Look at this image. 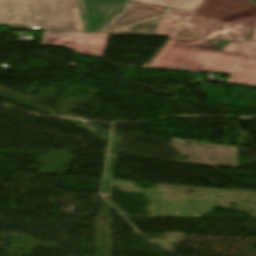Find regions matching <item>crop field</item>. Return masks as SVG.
Masks as SVG:
<instances>
[{"label": "crop field", "mask_w": 256, "mask_h": 256, "mask_svg": "<svg viewBox=\"0 0 256 256\" xmlns=\"http://www.w3.org/2000/svg\"><path fill=\"white\" fill-rule=\"evenodd\" d=\"M109 35L44 32L41 44L62 45L80 53L102 56Z\"/></svg>", "instance_id": "obj_4"}, {"label": "crop field", "mask_w": 256, "mask_h": 256, "mask_svg": "<svg viewBox=\"0 0 256 256\" xmlns=\"http://www.w3.org/2000/svg\"><path fill=\"white\" fill-rule=\"evenodd\" d=\"M127 0H0V24L91 32Z\"/></svg>", "instance_id": "obj_3"}, {"label": "crop field", "mask_w": 256, "mask_h": 256, "mask_svg": "<svg viewBox=\"0 0 256 256\" xmlns=\"http://www.w3.org/2000/svg\"><path fill=\"white\" fill-rule=\"evenodd\" d=\"M252 1H254L256 3V0H252Z\"/></svg>", "instance_id": "obj_8"}, {"label": "crop field", "mask_w": 256, "mask_h": 256, "mask_svg": "<svg viewBox=\"0 0 256 256\" xmlns=\"http://www.w3.org/2000/svg\"><path fill=\"white\" fill-rule=\"evenodd\" d=\"M255 22L247 0H204L192 12L128 1L92 32L250 40Z\"/></svg>", "instance_id": "obj_1"}, {"label": "crop field", "mask_w": 256, "mask_h": 256, "mask_svg": "<svg viewBox=\"0 0 256 256\" xmlns=\"http://www.w3.org/2000/svg\"><path fill=\"white\" fill-rule=\"evenodd\" d=\"M202 1L203 0H172L170 4L174 5L176 8L192 11Z\"/></svg>", "instance_id": "obj_5"}, {"label": "crop field", "mask_w": 256, "mask_h": 256, "mask_svg": "<svg viewBox=\"0 0 256 256\" xmlns=\"http://www.w3.org/2000/svg\"><path fill=\"white\" fill-rule=\"evenodd\" d=\"M165 7L171 0H132Z\"/></svg>", "instance_id": "obj_6"}, {"label": "crop field", "mask_w": 256, "mask_h": 256, "mask_svg": "<svg viewBox=\"0 0 256 256\" xmlns=\"http://www.w3.org/2000/svg\"><path fill=\"white\" fill-rule=\"evenodd\" d=\"M251 40H256V27H255V30H254V33H253V36H252Z\"/></svg>", "instance_id": "obj_7"}, {"label": "crop field", "mask_w": 256, "mask_h": 256, "mask_svg": "<svg viewBox=\"0 0 256 256\" xmlns=\"http://www.w3.org/2000/svg\"><path fill=\"white\" fill-rule=\"evenodd\" d=\"M148 67L230 74L227 83L256 87V41L171 38Z\"/></svg>", "instance_id": "obj_2"}]
</instances>
